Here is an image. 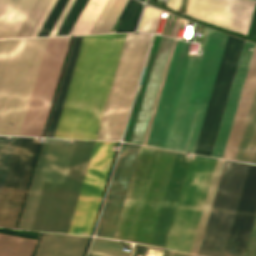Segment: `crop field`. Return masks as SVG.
Instances as JSON below:
<instances>
[{"instance_id": "crop-field-2", "label": "crop field", "mask_w": 256, "mask_h": 256, "mask_svg": "<svg viewBox=\"0 0 256 256\" xmlns=\"http://www.w3.org/2000/svg\"><path fill=\"white\" fill-rule=\"evenodd\" d=\"M173 151L140 147L118 224L115 239L150 244L173 160ZM176 153L161 205L152 246L164 247L188 163Z\"/></svg>"}, {"instance_id": "crop-field-22", "label": "crop field", "mask_w": 256, "mask_h": 256, "mask_svg": "<svg viewBox=\"0 0 256 256\" xmlns=\"http://www.w3.org/2000/svg\"><path fill=\"white\" fill-rule=\"evenodd\" d=\"M108 0H88L70 35L89 34Z\"/></svg>"}, {"instance_id": "crop-field-18", "label": "crop field", "mask_w": 256, "mask_h": 256, "mask_svg": "<svg viewBox=\"0 0 256 256\" xmlns=\"http://www.w3.org/2000/svg\"><path fill=\"white\" fill-rule=\"evenodd\" d=\"M24 39L0 41V119Z\"/></svg>"}, {"instance_id": "crop-field-38", "label": "crop field", "mask_w": 256, "mask_h": 256, "mask_svg": "<svg viewBox=\"0 0 256 256\" xmlns=\"http://www.w3.org/2000/svg\"><path fill=\"white\" fill-rule=\"evenodd\" d=\"M181 0H168L167 7L179 11Z\"/></svg>"}, {"instance_id": "crop-field-32", "label": "crop field", "mask_w": 256, "mask_h": 256, "mask_svg": "<svg viewBox=\"0 0 256 256\" xmlns=\"http://www.w3.org/2000/svg\"><path fill=\"white\" fill-rule=\"evenodd\" d=\"M87 0H75L56 35H68Z\"/></svg>"}, {"instance_id": "crop-field-21", "label": "crop field", "mask_w": 256, "mask_h": 256, "mask_svg": "<svg viewBox=\"0 0 256 256\" xmlns=\"http://www.w3.org/2000/svg\"><path fill=\"white\" fill-rule=\"evenodd\" d=\"M224 161L225 160H220V159L217 160V164H216V167H215V170H214V174H213L212 181H211V184H210V187H209L207 198H206V201H205V204H204V208H203V211H202V214H201V218H200L199 225H198V228H197V231H196L194 242H193V245H192V248H191L190 253H192V254H196V255L198 254V250H199L200 243H201V240H202V237H203V233H204L205 226H206V223H207V219H208V216H209V213H210V209H211L212 202H213V199H214V195H215V192H216V189H217V185H218L219 178H220V175H221V171H222V168H223V165H224Z\"/></svg>"}, {"instance_id": "crop-field-33", "label": "crop field", "mask_w": 256, "mask_h": 256, "mask_svg": "<svg viewBox=\"0 0 256 256\" xmlns=\"http://www.w3.org/2000/svg\"><path fill=\"white\" fill-rule=\"evenodd\" d=\"M21 0H0V36Z\"/></svg>"}, {"instance_id": "crop-field-36", "label": "crop field", "mask_w": 256, "mask_h": 256, "mask_svg": "<svg viewBox=\"0 0 256 256\" xmlns=\"http://www.w3.org/2000/svg\"><path fill=\"white\" fill-rule=\"evenodd\" d=\"M56 1L57 0H50L49 1L47 7L45 8L43 14L41 15L38 23L36 24L34 30L31 33L30 37L37 36L39 30L41 29L43 23L45 22L47 16L49 15V13H50L51 9L53 8Z\"/></svg>"}, {"instance_id": "crop-field-14", "label": "crop field", "mask_w": 256, "mask_h": 256, "mask_svg": "<svg viewBox=\"0 0 256 256\" xmlns=\"http://www.w3.org/2000/svg\"><path fill=\"white\" fill-rule=\"evenodd\" d=\"M256 86V45L249 65L247 76L244 82L242 93L236 109L234 120L231 126L229 137L223 153L225 159H234L241 132L245 123L248 109Z\"/></svg>"}, {"instance_id": "crop-field-28", "label": "crop field", "mask_w": 256, "mask_h": 256, "mask_svg": "<svg viewBox=\"0 0 256 256\" xmlns=\"http://www.w3.org/2000/svg\"><path fill=\"white\" fill-rule=\"evenodd\" d=\"M34 1L35 0L21 1L5 31L3 32L1 38H14L16 32L18 31Z\"/></svg>"}, {"instance_id": "crop-field-23", "label": "crop field", "mask_w": 256, "mask_h": 256, "mask_svg": "<svg viewBox=\"0 0 256 256\" xmlns=\"http://www.w3.org/2000/svg\"><path fill=\"white\" fill-rule=\"evenodd\" d=\"M36 242L0 234V256H31Z\"/></svg>"}, {"instance_id": "crop-field-39", "label": "crop field", "mask_w": 256, "mask_h": 256, "mask_svg": "<svg viewBox=\"0 0 256 256\" xmlns=\"http://www.w3.org/2000/svg\"><path fill=\"white\" fill-rule=\"evenodd\" d=\"M172 40H171V44H172ZM171 44H170V47H171ZM170 47H169V50H170ZM169 50H168V54H169ZM168 54H167V57H168ZM167 57H166V61H167ZM166 61H165V64H166ZM165 64H164V68H165ZM164 68H163V71H164ZM163 71H162V74H163ZM162 74H161V78H162ZM161 78H160V81H161ZM160 81H159V85H160ZM159 85H158V88H159ZM158 88H157V91H158ZM156 95H157V92H156ZM156 95H155V98H156ZM155 98H154V102H155ZM154 102H153V105H154ZM153 105H152V109H153ZM152 109H151V112H152ZM151 112H150V115H151ZM150 115H149V119H150ZM149 119H148V122H149ZM148 122H147V126H148ZM147 126H146V129H147ZM146 129H145V133H146ZM145 133H144V136H145ZM144 136H143V139H144ZM143 139H142V143H143Z\"/></svg>"}, {"instance_id": "crop-field-34", "label": "crop field", "mask_w": 256, "mask_h": 256, "mask_svg": "<svg viewBox=\"0 0 256 256\" xmlns=\"http://www.w3.org/2000/svg\"><path fill=\"white\" fill-rule=\"evenodd\" d=\"M68 0H58L38 36H48Z\"/></svg>"}, {"instance_id": "crop-field-41", "label": "crop field", "mask_w": 256, "mask_h": 256, "mask_svg": "<svg viewBox=\"0 0 256 256\" xmlns=\"http://www.w3.org/2000/svg\"><path fill=\"white\" fill-rule=\"evenodd\" d=\"M88 256H97V255H91V254H89Z\"/></svg>"}, {"instance_id": "crop-field-13", "label": "crop field", "mask_w": 256, "mask_h": 256, "mask_svg": "<svg viewBox=\"0 0 256 256\" xmlns=\"http://www.w3.org/2000/svg\"><path fill=\"white\" fill-rule=\"evenodd\" d=\"M254 43L245 41L237 71L234 77L232 88L223 114L221 125L212 151L213 157H222L225 143L228 137L230 126L233 120L235 109L241 93L243 82L246 76L248 65L254 49Z\"/></svg>"}, {"instance_id": "crop-field-17", "label": "crop field", "mask_w": 256, "mask_h": 256, "mask_svg": "<svg viewBox=\"0 0 256 256\" xmlns=\"http://www.w3.org/2000/svg\"><path fill=\"white\" fill-rule=\"evenodd\" d=\"M89 238L44 233L35 256H83Z\"/></svg>"}, {"instance_id": "crop-field-5", "label": "crop field", "mask_w": 256, "mask_h": 256, "mask_svg": "<svg viewBox=\"0 0 256 256\" xmlns=\"http://www.w3.org/2000/svg\"><path fill=\"white\" fill-rule=\"evenodd\" d=\"M256 212V166L225 161L200 256H242Z\"/></svg>"}, {"instance_id": "crop-field-4", "label": "crop field", "mask_w": 256, "mask_h": 256, "mask_svg": "<svg viewBox=\"0 0 256 256\" xmlns=\"http://www.w3.org/2000/svg\"><path fill=\"white\" fill-rule=\"evenodd\" d=\"M125 35L83 37L54 137L96 138Z\"/></svg>"}, {"instance_id": "crop-field-27", "label": "crop field", "mask_w": 256, "mask_h": 256, "mask_svg": "<svg viewBox=\"0 0 256 256\" xmlns=\"http://www.w3.org/2000/svg\"><path fill=\"white\" fill-rule=\"evenodd\" d=\"M49 0H36L21 25L16 37H29Z\"/></svg>"}, {"instance_id": "crop-field-26", "label": "crop field", "mask_w": 256, "mask_h": 256, "mask_svg": "<svg viewBox=\"0 0 256 256\" xmlns=\"http://www.w3.org/2000/svg\"><path fill=\"white\" fill-rule=\"evenodd\" d=\"M98 238V237H97ZM94 239L91 250L89 253L103 255V256H130L131 253H126L125 248L128 247L129 244L103 240V239Z\"/></svg>"}, {"instance_id": "crop-field-12", "label": "crop field", "mask_w": 256, "mask_h": 256, "mask_svg": "<svg viewBox=\"0 0 256 256\" xmlns=\"http://www.w3.org/2000/svg\"><path fill=\"white\" fill-rule=\"evenodd\" d=\"M255 3L248 0H191L186 15L246 36Z\"/></svg>"}, {"instance_id": "crop-field-20", "label": "crop field", "mask_w": 256, "mask_h": 256, "mask_svg": "<svg viewBox=\"0 0 256 256\" xmlns=\"http://www.w3.org/2000/svg\"><path fill=\"white\" fill-rule=\"evenodd\" d=\"M234 160L256 164V90Z\"/></svg>"}, {"instance_id": "crop-field-6", "label": "crop field", "mask_w": 256, "mask_h": 256, "mask_svg": "<svg viewBox=\"0 0 256 256\" xmlns=\"http://www.w3.org/2000/svg\"><path fill=\"white\" fill-rule=\"evenodd\" d=\"M151 35L127 34L99 128V140L120 141Z\"/></svg>"}, {"instance_id": "crop-field-25", "label": "crop field", "mask_w": 256, "mask_h": 256, "mask_svg": "<svg viewBox=\"0 0 256 256\" xmlns=\"http://www.w3.org/2000/svg\"><path fill=\"white\" fill-rule=\"evenodd\" d=\"M127 145L128 144H125V143H122V145H121V149H120L118 159H117V162H116V165H115V169H114L113 176H112V179H111V182H110V186H109V189H108V192H107V196H106V199H105V202H104V206H103V209H102V213H101V216H100V219H99V223H98V226H97V229H96L95 236H100V237L102 236V232H103V229H104V225H105V222H106V218H107V215H108V211H109V208H110V204H111V201H112L114 190H115V187H116V184H117V180H118V177H119V173H120V170H121V166H122V163H123V159H124V156H125Z\"/></svg>"}, {"instance_id": "crop-field-29", "label": "crop field", "mask_w": 256, "mask_h": 256, "mask_svg": "<svg viewBox=\"0 0 256 256\" xmlns=\"http://www.w3.org/2000/svg\"><path fill=\"white\" fill-rule=\"evenodd\" d=\"M1 138L2 136H0V192L17 137H12L11 141H1ZM10 138L3 136L2 140H10Z\"/></svg>"}, {"instance_id": "crop-field-37", "label": "crop field", "mask_w": 256, "mask_h": 256, "mask_svg": "<svg viewBox=\"0 0 256 256\" xmlns=\"http://www.w3.org/2000/svg\"><path fill=\"white\" fill-rule=\"evenodd\" d=\"M73 1H74V0H69V1H68L66 7L64 8L62 14H61L60 17H59L57 23L55 24V26H54V28H53V30H52L50 36L55 35V33H56L57 29L59 28L61 22L63 21L65 15L67 14V12H68V10H69V8L71 7Z\"/></svg>"}, {"instance_id": "crop-field-24", "label": "crop field", "mask_w": 256, "mask_h": 256, "mask_svg": "<svg viewBox=\"0 0 256 256\" xmlns=\"http://www.w3.org/2000/svg\"><path fill=\"white\" fill-rule=\"evenodd\" d=\"M126 2L127 0H109L91 34L110 33Z\"/></svg>"}, {"instance_id": "crop-field-19", "label": "crop field", "mask_w": 256, "mask_h": 256, "mask_svg": "<svg viewBox=\"0 0 256 256\" xmlns=\"http://www.w3.org/2000/svg\"><path fill=\"white\" fill-rule=\"evenodd\" d=\"M83 36H74L45 137H53Z\"/></svg>"}, {"instance_id": "crop-field-35", "label": "crop field", "mask_w": 256, "mask_h": 256, "mask_svg": "<svg viewBox=\"0 0 256 256\" xmlns=\"http://www.w3.org/2000/svg\"><path fill=\"white\" fill-rule=\"evenodd\" d=\"M243 256H256V216L252 225V229Z\"/></svg>"}, {"instance_id": "crop-field-8", "label": "crop field", "mask_w": 256, "mask_h": 256, "mask_svg": "<svg viewBox=\"0 0 256 256\" xmlns=\"http://www.w3.org/2000/svg\"><path fill=\"white\" fill-rule=\"evenodd\" d=\"M70 38L48 39L20 135H42Z\"/></svg>"}, {"instance_id": "crop-field-31", "label": "crop field", "mask_w": 256, "mask_h": 256, "mask_svg": "<svg viewBox=\"0 0 256 256\" xmlns=\"http://www.w3.org/2000/svg\"><path fill=\"white\" fill-rule=\"evenodd\" d=\"M142 5L133 0L116 32L134 31Z\"/></svg>"}, {"instance_id": "crop-field-11", "label": "crop field", "mask_w": 256, "mask_h": 256, "mask_svg": "<svg viewBox=\"0 0 256 256\" xmlns=\"http://www.w3.org/2000/svg\"><path fill=\"white\" fill-rule=\"evenodd\" d=\"M18 137L0 196V226L14 228L40 143Z\"/></svg>"}, {"instance_id": "crop-field-3", "label": "crop field", "mask_w": 256, "mask_h": 256, "mask_svg": "<svg viewBox=\"0 0 256 256\" xmlns=\"http://www.w3.org/2000/svg\"><path fill=\"white\" fill-rule=\"evenodd\" d=\"M43 143L19 228L67 233L95 141Z\"/></svg>"}, {"instance_id": "crop-field-9", "label": "crop field", "mask_w": 256, "mask_h": 256, "mask_svg": "<svg viewBox=\"0 0 256 256\" xmlns=\"http://www.w3.org/2000/svg\"><path fill=\"white\" fill-rule=\"evenodd\" d=\"M117 142L96 141L68 233L90 235Z\"/></svg>"}, {"instance_id": "crop-field-30", "label": "crop field", "mask_w": 256, "mask_h": 256, "mask_svg": "<svg viewBox=\"0 0 256 256\" xmlns=\"http://www.w3.org/2000/svg\"><path fill=\"white\" fill-rule=\"evenodd\" d=\"M161 12L159 9L146 6L138 30L140 32L155 33Z\"/></svg>"}, {"instance_id": "crop-field-16", "label": "crop field", "mask_w": 256, "mask_h": 256, "mask_svg": "<svg viewBox=\"0 0 256 256\" xmlns=\"http://www.w3.org/2000/svg\"><path fill=\"white\" fill-rule=\"evenodd\" d=\"M140 146L128 145L102 237L112 238Z\"/></svg>"}, {"instance_id": "crop-field-1", "label": "crop field", "mask_w": 256, "mask_h": 256, "mask_svg": "<svg viewBox=\"0 0 256 256\" xmlns=\"http://www.w3.org/2000/svg\"><path fill=\"white\" fill-rule=\"evenodd\" d=\"M227 37L209 29L200 57L176 41L146 145L194 152Z\"/></svg>"}, {"instance_id": "crop-field-7", "label": "crop field", "mask_w": 256, "mask_h": 256, "mask_svg": "<svg viewBox=\"0 0 256 256\" xmlns=\"http://www.w3.org/2000/svg\"><path fill=\"white\" fill-rule=\"evenodd\" d=\"M47 39L24 40L1 119L0 134H20Z\"/></svg>"}, {"instance_id": "crop-field-10", "label": "crop field", "mask_w": 256, "mask_h": 256, "mask_svg": "<svg viewBox=\"0 0 256 256\" xmlns=\"http://www.w3.org/2000/svg\"><path fill=\"white\" fill-rule=\"evenodd\" d=\"M243 40L228 37L212 95L195 148L196 154L211 155L235 69L238 63ZM208 149H210L208 151Z\"/></svg>"}, {"instance_id": "crop-field-40", "label": "crop field", "mask_w": 256, "mask_h": 256, "mask_svg": "<svg viewBox=\"0 0 256 256\" xmlns=\"http://www.w3.org/2000/svg\"><path fill=\"white\" fill-rule=\"evenodd\" d=\"M170 256H192V255H187V254L171 251Z\"/></svg>"}, {"instance_id": "crop-field-15", "label": "crop field", "mask_w": 256, "mask_h": 256, "mask_svg": "<svg viewBox=\"0 0 256 256\" xmlns=\"http://www.w3.org/2000/svg\"><path fill=\"white\" fill-rule=\"evenodd\" d=\"M169 38H161L160 45L157 51V55L154 61V65L151 71V75L148 81V85L144 94V98L141 104V108L138 114V118L135 124V128L132 134V143H141V139L144 133L148 115L151 109L155 91L158 85L160 74L163 68L167 50L170 44Z\"/></svg>"}]
</instances>
